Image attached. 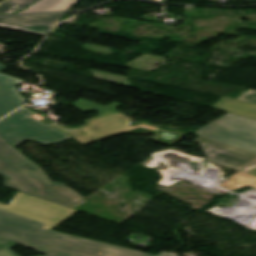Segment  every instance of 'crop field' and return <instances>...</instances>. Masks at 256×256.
<instances>
[{"instance_id":"733c2abd","label":"crop field","mask_w":256,"mask_h":256,"mask_svg":"<svg viewBox=\"0 0 256 256\" xmlns=\"http://www.w3.org/2000/svg\"><path fill=\"white\" fill-rule=\"evenodd\" d=\"M0 67H2V65H0Z\"/></svg>"},{"instance_id":"34b2d1b8","label":"crop field","mask_w":256,"mask_h":256,"mask_svg":"<svg viewBox=\"0 0 256 256\" xmlns=\"http://www.w3.org/2000/svg\"><path fill=\"white\" fill-rule=\"evenodd\" d=\"M36 112L23 107L0 121V135L13 146L25 140H31L43 145L63 142L70 139L63 132L48 125L49 121H38L30 116Z\"/></svg>"},{"instance_id":"5a996713","label":"crop field","mask_w":256,"mask_h":256,"mask_svg":"<svg viewBox=\"0 0 256 256\" xmlns=\"http://www.w3.org/2000/svg\"><path fill=\"white\" fill-rule=\"evenodd\" d=\"M213 108L256 119V104L253 103L222 98Z\"/></svg>"},{"instance_id":"22f410ed","label":"crop field","mask_w":256,"mask_h":256,"mask_svg":"<svg viewBox=\"0 0 256 256\" xmlns=\"http://www.w3.org/2000/svg\"><path fill=\"white\" fill-rule=\"evenodd\" d=\"M16 246L15 243L12 244H8L5 246H1L0 247V256H18L17 254H15L14 252H12L11 250H9L8 248ZM41 256V255H38Z\"/></svg>"},{"instance_id":"412701ff","label":"crop field","mask_w":256,"mask_h":256,"mask_svg":"<svg viewBox=\"0 0 256 256\" xmlns=\"http://www.w3.org/2000/svg\"><path fill=\"white\" fill-rule=\"evenodd\" d=\"M130 119L122 114H116L107 118H103L94 122H91V126L82 128L73 132L66 133L69 137L75 139L81 144L85 145L97 140H101L125 131H129L138 127L155 131L156 135L152 137V140L172 146L179 138L186 134L163 130L162 128L138 123L134 126L129 125Z\"/></svg>"},{"instance_id":"dd49c442","label":"crop field","mask_w":256,"mask_h":256,"mask_svg":"<svg viewBox=\"0 0 256 256\" xmlns=\"http://www.w3.org/2000/svg\"><path fill=\"white\" fill-rule=\"evenodd\" d=\"M196 142L201 145L208 160L231 169L239 171L256 163V155L200 137L197 138Z\"/></svg>"},{"instance_id":"cbeb9de0","label":"crop field","mask_w":256,"mask_h":256,"mask_svg":"<svg viewBox=\"0 0 256 256\" xmlns=\"http://www.w3.org/2000/svg\"><path fill=\"white\" fill-rule=\"evenodd\" d=\"M238 100H243V101L256 103V91L251 90L248 93L241 96L240 98H238Z\"/></svg>"},{"instance_id":"f4fd0767","label":"crop field","mask_w":256,"mask_h":256,"mask_svg":"<svg viewBox=\"0 0 256 256\" xmlns=\"http://www.w3.org/2000/svg\"><path fill=\"white\" fill-rule=\"evenodd\" d=\"M196 133L198 136L256 153V120L227 113Z\"/></svg>"},{"instance_id":"d9b57169","label":"crop field","mask_w":256,"mask_h":256,"mask_svg":"<svg viewBox=\"0 0 256 256\" xmlns=\"http://www.w3.org/2000/svg\"><path fill=\"white\" fill-rule=\"evenodd\" d=\"M160 256H168V255H166V254H162V255H160Z\"/></svg>"},{"instance_id":"d8731c3e","label":"crop field","mask_w":256,"mask_h":256,"mask_svg":"<svg viewBox=\"0 0 256 256\" xmlns=\"http://www.w3.org/2000/svg\"><path fill=\"white\" fill-rule=\"evenodd\" d=\"M24 81L0 73V118L27 101L16 90V86Z\"/></svg>"},{"instance_id":"8a807250","label":"crop field","mask_w":256,"mask_h":256,"mask_svg":"<svg viewBox=\"0 0 256 256\" xmlns=\"http://www.w3.org/2000/svg\"><path fill=\"white\" fill-rule=\"evenodd\" d=\"M76 211L17 191L0 204V238L44 256H154L144 252L51 231Z\"/></svg>"},{"instance_id":"28ad6ade","label":"crop field","mask_w":256,"mask_h":256,"mask_svg":"<svg viewBox=\"0 0 256 256\" xmlns=\"http://www.w3.org/2000/svg\"><path fill=\"white\" fill-rule=\"evenodd\" d=\"M76 1L77 0H39L22 12L68 10Z\"/></svg>"},{"instance_id":"3316defc","label":"crop field","mask_w":256,"mask_h":256,"mask_svg":"<svg viewBox=\"0 0 256 256\" xmlns=\"http://www.w3.org/2000/svg\"><path fill=\"white\" fill-rule=\"evenodd\" d=\"M246 185L256 188V164L238 172L220 186L233 190Z\"/></svg>"},{"instance_id":"ac0d7876","label":"crop field","mask_w":256,"mask_h":256,"mask_svg":"<svg viewBox=\"0 0 256 256\" xmlns=\"http://www.w3.org/2000/svg\"><path fill=\"white\" fill-rule=\"evenodd\" d=\"M0 174L5 178L6 187L69 208L85 199L62 184L52 183L39 166L28 160L1 136Z\"/></svg>"},{"instance_id":"d1516ede","label":"crop field","mask_w":256,"mask_h":256,"mask_svg":"<svg viewBox=\"0 0 256 256\" xmlns=\"http://www.w3.org/2000/svg\"><path fill=\"white\" fill-rule=\"evenodd\" d=\"M37 0H9L0 5V14L14 13L21 10Z\"/></svg>"},{"instance_id":"e52e79f7","label":"crop field","mask_w":256,"mask_h":256,"mask_svg":"<svg viewBox=\"0 0 256 256\" xmlns=\"http://www.w3.org/2000/svg\"><path fill=\"white\" fill-rule=\"evenodd\" d=\"M63 14L0 18V27L45 36Z\"/></svg>"},{"instance_id":"5142ce71","label":"crop field","mask_w":256,"mask_h":256,"mask_svg":"<svg viewBox=\"0 0 256 256\" xmlns=\"http://www.w3.org/2000/svg\"><path fill=\"white\" fill-rule=\"evenodd\" d=\"M6 243H10V242H7V241H4V240L0 239V245L6 244Z\"/></svg>"}]
</instances>
